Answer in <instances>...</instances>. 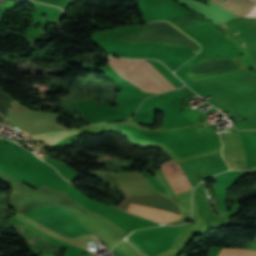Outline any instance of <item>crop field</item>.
Instances as JSON below:
<instances>
[{"label": "crop field", "mask_w": 256, "mask_h": 256, "mask_svg": "<svg viewBox=\"0 0 256 256\" xmlns=\"http://www.w3.org/2000/svg\"><path fill=\"white\" fill-rule=\"evenodd\" d=\"M81 131H58V132H46L42 134L32 135L31 137L45 140L46 142L54 145L57 142L67 138L68 136L80 133Z\"/></svg>", "instance_id": "5"}, {"label": "crop field", "mask_w": 256, "mask_h": 256, "mask_svg": "<svg viewBox=\"0 0 256 256\" xmlns=\"http://www.w3.org/2000/svg\"><path fill=\"white\" fill-rule=\"evenodd\" d=\"M249 15H251V16H253V17H256V12H254V11H250V13H249Z\"/></svg>", "instance_id": "6"}, {"label": "crop field", "mask_w": 256, "mask_h": 256, "mask_svg": "<svg viewBox=\"0 0 256 256\" xmlns=\"http://www.w3.org/2000/svg\"><path fill=\"white\" fill-rule=\"evenodd\" d=\"M29 134H31V133H29Z\"/></svg>", "instance_id": "7"}, {"label": "crop field", "mask_w": 256, "mask_h": 256, "mask_svg": "<svg viewBox=\"0 0 256 256\" xmlns=\"http://www.w3.org/2000/svg\"><path fill=\"white\" fill-rule=\"evenodd\" d=\"M215 4H218L240 16H244L252 7L253 5L248 4L241 0H227L224 5L220 4L221 0H210Z\"/></svg>", "instance_id": "4"}, {"label": "crop field", "mask_w": 256, "mask_h": 256, "mask_svg": "<svg viewBox=\"0 0 256 256\" xmlns=\"http://www.w3.org/2000/svg\"><path fill=\"white\" fill-rule=\"evenodd\" d=\"M109 64L130 83L143 91L159 93L174 87L148 62L109 57Z\"/></svg>", "instance_id": "1"}, {"label": "crop field", "mask_w": 256, "mask_h": 256, "mask_svg": "<svg viewBox=\"0 0 256 256\" xmlns=\"http://www.w3.org/2000/svg\"><path fill=\"white\" fill-rule=\"evenodd\" d=\"M176 162V161H175ZM174 161L167 162L162 165L164 174L166 175L169 183L171 184L175 194L191 189L190 184L179 168L178 164Z\"/></svg>", "instance_id": "3"}, {"label": "crop field", "mask_w": 256, "mask_h": 256, "mask_svg": "<svg viewBox=\"0 0 256 256\" xmlns=\"http://www.w3.org/2000/svg\"><path fill=\"white\" fill-rule=\"evenodd\" d=\"M47 207L49 206H38L23 215L29 217ZM69 217L70 213L68 211L51 206L29 218L56 233L67 237ZM84 234L90 233L71 215L68 237H76Z\"/></svg>", "instance_id": "2"}]
</instances>
